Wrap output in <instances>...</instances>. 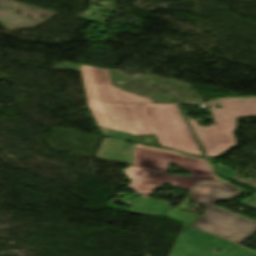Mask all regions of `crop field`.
Returning a JSON list of instances; mask_svg holds the SVG:
<instances>
[{"mask_svg":"<svg viewBox=\"0 0 256 256\" xmlns=\"http://www.w3.org/2000/svg\"><path fill=\"white\" fill-rule=\"evenodd\" d=\"M63 64L81 67L88 107L104 136L133 142V135L155 134L163 148L203 155L176 104L154 105L122 91L112 86L106 69Z\"/></svg>","mask_w":256,"mask_h":256,"instance_id":"8a807250","label":"crop field"},{"mask_svg":"<svg viewBox=\"0 0 256 256\" xmlns=\"http://www.w3.org/2000/svg\"><path fill=\"white\" fill-rule=\"evenodd\" d=\"M95 157L130 165L121 170L131 181L127 187L146 197L161 184L188 192L201 180L223 181L214 174L213 159L138 144L103 138ZM170 164L190 176L166 174Z\"/></svg>","mask_w":256,"mask_h":256,"instance_id":"ac0d7876","label":"crop field"},{"mask_svg":"<svg viewBox=\"0 0 256 256\" xmlns=\"http://www.w3.org/2000/svg\"><path fill=\"white\" fill-rule=\"evenodd\" d=\"M241 192L227 183L205 182L198 185L188 196L205 209L203 215L190 226L240 245L256 233V222L212 203L234 198Z\"/></svg>","mask_w":256,"mask_h":256,"instance_id":"34b2d1b8","label":"crop field"},{"mask_svg":"<svg viewBox=\"0 0 256 256\" xmlns=\"http://www.w3.org/2000/svg\"><path fill=\"white\" fill-rule=\"evenodd\" d=\"M215 104L222 108L215 109ZM215 124L210 127L198 126L195 120L186 118L197 136L206 156L216 158L218 154L237 144L233 131L236 117L256 116V98L220 99L209 103Z\"/></svg>","mask_w":256,"mask_h":256,"instance_id":"412701ff","label":"crop field"},{"mask_svg":"<svg viewBox=\"0 0 256 256\" xmlns=\"http://www.w3.org/2000/svg\"><path fill=\"white\" fill-rule=\"evenodd\" d=\"M52 67H56L55 69L60 68V70H64V71H67L68 69H71V70H75V71L81 72L80 68L72 67V66H68V65H63V64L55 65V66H52ZM68 72H71V71H68ZM72 73L79 74L77 72H72Z\"/></svg>","mask_w":256,"mask_h":256,"instance_id":"d8731c3e","label":"crop field"},{"mask_svg":"<svg viewBox=\"0 0 256 256\" xmlns=\"http://www.w3.org/2000/svg\"><path fill=\"white\" fill-rule=\"evenodd\" d=\"M218 175L226 178L227 180H235V172L225 166H221L220 164H216Z\"/></svg>","mask_w":256,"mask_h":256,"instance_id":"dd49c442","label":"crop field"},{"mask_svg":"<svg viewBox=\"0 0 256 256\" xmlns=\"http://www.w3.org/2000/svg\"><path fill=\"white\" fill-rule=\"evenodd\" d=\"M170 204L159 200L138 198L128 212L165 217L172 209Z\"/></svg>","mask_w":256,"mask_h":256,"instance_id":"f4fd0767","label":"crop field"},{"mask_svg":"<svg viewBox=\"0 0 256 256\" xmlns=\"http://www.w3.org/2000/svg\"><path fill=\"white\" fill-rule=\"evenodd\" d=\"M240 204L248 206V207L256 210V194L252 195V198H249V199L241 202Z\"/></svg>","mask_w":256,"mask_h":256,"instance_id":"e52e79f7","label":"crop field"}]
</instances>
